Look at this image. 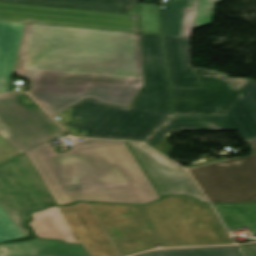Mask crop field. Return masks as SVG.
I'll use <instances>...</instances> for the list:
<instances>
[{
	"label": "crop field",
	"instance_id": "214f88e0",
	"mask_svg": "<svg viewBox=\"0 0 256 256\" xmlns=\"http://www.w3.org/2000/svg\"><path fill=\"white\" fill-rule=\"evenodd\" d=\"M127 13L140 14L142 33L160 35L158 5L137 3Z\"/></svg>",
	"mask_w": 256,
	"mask_h": 256
},
{
	"label": "crop field",
	"instance_id": "ac0d7876",
	"mask_svg": "<svg viewBox=\"0 0 256 256\" xmlns=\"http://www.w3.org/2000/svg\"><path fill=\"white\" fill-rule=\"evenodd\" d=\"M50 145L46 142L25 153L56 205H142L160 199L125 142L87 139L58 154Z\"/></svg>",
	"mask_w": 256,
	"mask_h": 256
},
{
	"label": "crop field",
	"instance_id": "412701ff",
	"mask_svg": "<svg viewBox=\"0 0 256 256\" xmlns=\"http://www.w3.org/2000/svg\"><path fill=\"white\" fill-rule=\"evenodd\" d=\"M145 86L128 108L87 98L57 115L71 135L142 141L169 114V90L160 36L142 34Z\"/></svg>",
	"mask_w": 256,
	"mask_h": 256
},
{
	"label": "crop field",
	"instance_id": "bc2a9ffb",
	"mask_svg": "<svg viewBox=\"0 0 256 256\" xmlns=\"http://www.w3.org/2000/svg\"><path fill=\"white\" fill-rule=\"evenodd\" d=\"M136 256H242L236 246L166 249Z\"/></svg>",
	"mask_w": 256,
	"mask_h": 256
},
{
	"label": "crop field",
	"instance_id": "28ad6ade",
	"mask_svg": "<svg viewBox=\"0 0 256 256\" xmlns=\"http://www.w3.org/2000/svg\"><path fill=\"white\" fill-rule=\"evenodd\" d=\"M245 101L239 94L224 115L171 116L144 143L169 157L173 147L166 144V136L174 131L227 129L238 131L250 144L256 140V117Z\"/></svg>",
	"mask_w": 256,
	"mask_h": 256
},
{
	"label": "crop field",
	"instance_id": "5a996713",
	"mask_svg": "<svg viewBox=\"0 0 256 256\" xmlns=\"http://www.w3.org/2000/svg\"><path fill=\"white\" fill-rule=\"evenodd\" d=\"M252 155L189 170L211 203L256 202V141Z\"/></svg>",
	"mask_w": 256,
	"mask_h": 256
},
{
	"label": "crop field",
	"instance_id": "92a150f3",
	"mask_svg": "<svg viewBox=\"0 0 256 256\" xmlns=\"http://www.w3.org/2000/svg\"><path fill=\"white\" fill-rule=\"evenodd\" d=\"M220 1L222 0H199L192 30L211 23L215 4Z\"/></svg>",
	"mask_w": 256,
	"mask_h": 256
},
{
	"label": "crop field",
	"instance_id": "d9b57169",
	"mask_svg": "<svg viewBox=\"0 0 256 256\" xmlns=\"http://www.w3.org/2000/svg\"><path fill=\"white\" fill-rule=\"evenodd\" d=\"M23 26L0 21V93L8 91Z\"/></svg>",
	"mask_w": 256,
	"mask_h": 256
},
{
	"label": "crop field",
	"instance_id": "4177f3b9",
	"mask_svg": "<svg viewBox=\"0 0 256 256\" xmlns=\"http://www.w3.org/2000/svg\"><path fill=\"white\" fill-rule=\"evenodd\" d=\"M142 1H144V2H152V0H142Z\"/></svg>",
	"mask_w": 256,
	"mask_h": 256
},
{
	"label": "crop field",
	"instance_id": "a9b5d70f",
	"mask_svg": "<svg viewBox=\"0 0 256 256\" xmlns=\"http://www.w3.org/2000/svg\"><path fill=\"white\" fill-rule=\"evenodd\" d=\"M245 256H256V243L239 245Z\"/></svg>",
	"mask_w": 256,
	"mask_h": 256
},
{
	"label": "crop field",
	"instance_id": "22f410ed",
	"mask_svg": "<svg viewBox=\"0 0 256 256\" xmlns=\"http://www.w3.org/2000/svg\"><path fill=\"white\" fill-rule=\"evenodd\" d=\"M172 87H201L189 65V39L162 36Z\"/></svg>",
	"mask_w": 256,
	"mask_h": 256
},
{
	"label": "crop field",
	"instance_id": "5142ce71",
	"mask_svg": "<svg viewBox=\"0 0 256 256\" xmlns=\"http://www.w3.org/2000/svg\"><path fill=\"white\" fill-rule=\"evenodd\" d=\"M198 0H169L161 9L162 35L190 37Z\"/></svg>",
	"mask_w": 256,
	"mask_h": 256
},
{
	"label": "crop field",
	"instance_id": "8a807250",
	"mask_svg": "<svg viewBox=\"0 0 256 256\" xmlns=\"http://www.w3.org/2000/svg\"><path fill=\"white\" fill-rule=\"evenodd\" d=\"M15 72L50 115L87 97L128 107L144 86L141 34L27 24Z\"/></svg>",
	"mask_w": 256,
	"mask_h": 256
},
{
	"label": "crop field",
	"instance_id": "4a817a6b",
	"mask_svg": "<svg viewBox=\"0 0 256 256\" xmlns=\"http://www.w3.org/2000/svg\"><path fill=\"white\" fill-rule=\"evenodd\" d=\"M214 207L227 229L248 225L256 235V204L214 205Z\"/></svg>",
	"mask_w": 256,
	"mask_h": 256
},
{
	"label": "crop field",
	"instance_id": "dafd665d",
	"mask_svg": "<svg viewBox=\"0 0 256 256\" xmlns=\"http://www.w3.org/2000/svg\"><path fill=\"white\" fill-rule=\"evenodd\" d=\"M24 237L7 214L0 207V241Z\"/></svg>",
	"mask_w": 256,
	"mask_h": 256
},
{
	"label": "crop field",
	"instance_id": "cbeb9de0",
	"mask_svg": "<svg viewBox=\"0 0 256 256\" xmlns=\"http://www.w3.org/2000/svg\"><path fill=\"white\" fill-rule=\"evenodd\" d=\"M0 256H89L81 245L59 240L32 241L0 245Z\"/></svg>",
	"mask_w": 256,
	"mask_h": 256
},
{
	"label": "crop field",
	"instance_id": "34b2d1b8",
	"mask_svg": "<svg viewBox=\"0 0 256 256\" xmlns=\"http://www.w3.org/2000/svg\"><path fill=\"white\" fill-rule=\"evenodd\" d=\"M90 206L121 256L153 249L158 244L233 243L210 205L187 197H166L144 207Z\"/></svg>",
	"mask_w": 256,
	"mask_h": 256
},
{
	"label": "crop field",
	"instance_id": "3316defc",
	"mask_svg": "<svg viewBox=\"0 0 256 256\" xmlns=\"http://www.w3.org/2000/svg\"><path fill=\"white\" fill-rule=\"evenodd\" d=\"M203 88H172V115L223 114L246 86L245 78H229L226 73L193 68Z\"/></svg>",
	"mask_w": 256,
	"mask_h": 256
},
{
	"label": "crop field",
	"instance_id": "733c2abd",
	"mask_svg": "<svg viewBox=\"0 0 256 256\" xmlns=\"http://www.w3.org/2000/svg\"><path fill=\"white\" fill-rule=\"evenodd\" d=\"M0 1L126 13L139 0H0Z\"/></svg>",
	"mask_w": 256,
	"mask_h": 256
},
{
	"label": "crop field",
	"instance_id": "f4fd0767",
	"mask_svg": "<svg viewBox=\"0 0 256 256\" xmlns=\"http://www.w3.org/2000/svg\"><path fill=\"white\" fill-rule=\"evenodd\" d=\"M0 205L25 237L27 213L55 205L25 153L19 154L1 135Z\"/></svg>",
	"mask_w": 256,
	"mask_h": 256
},
{
	"label": "crop field",
	"instance_id": "d8731c3e",
	"mask_svg": "<svg viewBox=\"0 0 256 256\" xmlns=\"http://www.w3.org/2000/svg\"><path fill=\"white\" fill-rule=\"evenodd\" d=\"M0 134L19 152L64 132L24 93L0 95Z\"/></svg>",
	"mask_w": 256,
	"mask_h": 256
},
{
	"label": "crop field",
	"instance_id": "00972430",
	"mask_svg": "<svg viewBox=\"0 0 256 256\" xmlns=\"http://www.w3.org/2000/svg\"><path fill=\"white\" fill-rule=\"evenodd\" d=\"M241 93L254 114L256 115V81L250 80V82Z\"/></svg>",
	"mask_w": 256,
	"mask_h": 256
},
{
	"label": "crop field",
	"instance_id": "dd49c442",
	"mask_svg": "<svg viewBox=\"0 0 256 256\" xmlns=\"http://www.w3.org/2000/svg\"><path fill=\"white\" fill-rule=\"evenodd\" d=\"M30 216L38 237L82 243L91 256H120L88 203L49 207Z\"/></svg>",
	"mask_w": 256,
	"mask_h": 256
},
{
	"label": "crop field",
	"instance_id": "d1516ede",
	"mask_svg": "<svg viewBox=\"0 0 256 256\" xmlns=\"http://www.w3.org/2000/svg\"><path fill=\"white\" fill-rule=\"evenodd\" d=\"M146 173L162 195H186L207 203L188 173L143 144L128 142Z\"/></svg>",
	"mask_w": 256,
	"mask_h": 256
},
{
	"label": "crop field",
	"instance_id": "e52e79f7",
	"mask_svg": "<svg viewBox=\"0 0 256 256\" xmlns=\"http://www.w3.org/2000/svg\"><path fill=\"white\" fill-rule=\"evenodd\" d=\"M0 20L141 33L139 15L0 2Z\"/></svg>",
	"mask_w": 256,
	"mask_h": 256
}]
</instances>
